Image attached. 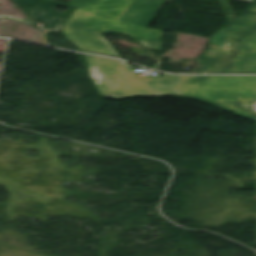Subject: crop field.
Returning <instances> with one entry per match:
<instances>
[{
    "label": "crop field",
    "instance_id": "8a807250",
    "mask_svg": "<svg viewBox=\"0 0 256 256\" xmlns=\"http://www.w3.org/2000/svg\"><path fill=\"white\" fill-rule=\"evenodd\" d=\"M86 60L100 94L116 98L138 94H179L208 100L256 120V76L164 74L163 79L137 77L122 61L88 55Z\"/></svg>",
    "mask_w": 256,
    "mask_h": 256
},
{
    "label": "crop field",
    "instance_id": "ac0d7876",
    "mask_svg": "<svg viewBox=\"0 0 256 256\" xmlns=\"http://www.w3.org/2000/svg\"><path fill=\"white\" fill-rule=\"evenodd\" d=\"M163 0H71L77 6L62 28L66 37L83 51L119 55L99 34H125L147 48L161 50L162 31L146 29Z\"/></svg>",
    "mask_w": 256,
    "mask_h": 256
},
{
    "label": "crop field",
    "instance_id": "34b2d1b8",
    "mask_svg": "<svg viewBox=\"0 0 256 256\" xmlns=\"http://www.w3.org/2000/svg\"><path fill=\"white\" fill-rule=\"evenodd\" d=\"M202 73L256 74V4L210 38ZM249 50L250 53H246Z\"/></svg>",
    "mask_w": 256,
    "mask_h": 256
},
{
    "label": "crop field",
    "instance_id": "412701ff",
    "mask_svg": "<svg viewBox=\"0 0 256 256\" xmlns=\"http://www.w3.org/2000/svg\"><path fill=\"white\" fill-rule=\"evenodd\" d=\"M13 2L26 8L31 17L45 21L47 30H58L62 23L73 11V7L53 0H13ZM60 4L68 7L63 14H57L52 10L55 5Z\"/></svg>",
    "mask_w": 256,
    "mask_h": 256
}]
</instances>
